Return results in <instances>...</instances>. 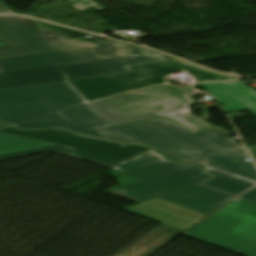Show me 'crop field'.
Segmentation results:
<instances>
[{"label":"crop field","instance_id":"obj_1","mask_svg":"<svg viewBox=\"0 0 256 256\" xmlns=\"http://www.w3.org/2000/svg\"><path fill=\"white\" fill-rule=\"evenodd\" d=\"M111 169L140 181L108 191L139 203L159 198L207 215L235 197L201 185L213 177L204 168L166 160L153 150Z\"/></svg>","mask_w":256,"mask_h":256},{"label":"crop field","instance_id":"obj_2","mask_svg":"<svg viewBox=\"0 0 256 256\" xmlns=\"http://www.w3.org/2000/svg\"><path fill=\"white\" fill-rule=\"evenodd\" d=\"M110 139L153 146L169 159L195 162L206 167L210 154L249 157L219 126L194 134L167 118L99 128Z\"/></svg>","mask_w":256,"mask_h":256},{"label":"crop field","instance_id":"obj_3","mask_svg":"<svg viewBox=\"0 0 256 256\" xmlns=\"http://www.w3.org/2000/svg\"><path fill=\"white\" fill-rule=\"evenodd\" d=\"M192 90L191 87L170 88L164 85L115 96L89 105L112 125L167 117L197 133L213 126L203 121L208 118L207 108H202L203 120L190 112L189 106L196 103L185 93Z\"/></svg>","mask_w":256,"mask_h":256},{"label":"crop field","instance_id":"obj_4","mask_svg":"<svg viewBox=\"0 0 256 256\" xmlns=\"http://www.w3.org/2000/svg\"><path fill=\"white\" fill-rule=\"evenodd\" d=\"M110 45L63 39L0 48V73L126 55L119 41Z\"/></svg>","mask_w":256,"mask_h":256},{"label":"crop field","instance_id":"obj_5","mask_svg":"<svg viewBox=\"0 0 256 256\" xmlns=\"http://www.w3.org/2000/svg\"><path fill=\"white\" fill-rule=\"evenodd\" d=\"M130 72L67 81L87 101L110 97L156 85L166 84L164 75L188 72L196 82L234 80L175 60L129 66Z\"/></svg>","mask_w":256,"mask_h":256},{"label":"crop field","instance_id":"obj_6","mask_svg":"<svg viewBox=\"0 0 256 256\" xmlns=\"http://www.w3.org/2000/svg\"><path fill=\"white\" fill-rule=\"evenodd\" d=\"M0 133L58 146L0 156V160L21 157L46 151H54L103 166L110 167L142 152L151 150L138 144L126 145L95 138L75 135L62 129L49 131H19L13 126L0 130Z\"/></svg>","mask_w":256,"mask_h":256},{"label":"crop field","instance_id":"obj_7","mask_svg":"<svg viewBox=\"0 0 256 256\" xmlns=\"http://www.w3.org/2000/svg\"><path fill=\"white\" fill-rule=\"evenodd\" d=\"M128 56L0 74V90L128 71L125 66L165 60L149 50L120 42Z\"/></svg>","mask_w":256,"mask_h":256},{"label":"crop field","instance_id":"obj_8","mask_svg":"<svg viewBox=\"0 0 256 256\" xmlns=\"http://www.w3.org/2000/svg\"><path fill=\"white\" fill-rule=\"evenodd\" d=\"M183 235L245 256H256V203L242 198L233 201Z\"/></svg>","mask_w":256,"mask_h":256},{"label":"crop field","instance_id":"obj_9","mask_svg":"<svg viewBox=\"0 0 256 256\" xmlns=\"http://www.w3.org/2000/svg\"><path fill=\"white\" fill-rule=\"evenodd\" d=\"M84 102L67 82L1 90L0 121L16 125Z\"/></svg>","mask_w":256,"mask_h":256},{"label":"crop field","instance_id":"obj_10","mask_svg":"<svg viewBox=\"0 0 256 256\" xmlns=\"http://www.w3.org/2000/svg\"><path fill=\"white\" fill-rule=\"evenodd\" d=\"M20 129L36 128L48 129L53 127H62L75 133L106 138L96 126H109L96 112L91 110L86 104L16 125Z\"/></svg>","mask_w":256,"mask_h":256},{"label":"crop field","instance_id":"obj_11","mask_svg":"<svg viewBox=\"0 0 256 256\" xmlns=\"http://www.w3.org/2000/svg\"><path fill=\"white\" fill-rule=\"evenodd\" d=\"M124 209L165 222L183 230L205 216L159 199Z\"/></svg>","mask_w":256,"mask_h":256},{"label":"crop field","instance_id":"obj_12","mask_svg":"<svg viewBox=\"0 0 256 256\" xmlns=\"http://www.w3.org/2000/svg\"><path fill=\"white\" fill-rule=\"evenodd\" d=\"M63 38L41 34L35 31L33 24L23 22L18 16H0V39L10 45Z\"/></svg>","mask_w":256,"mask_h":256},{"label":"crop field","instance_id":"obj_13","mask_svg":"<svg viewBox=\"0 0 256 256\" xmlns=\"http://www.w3.org/2000/svg\"><path fill=\"white\" fill-rule=\"evenodd\" d=\"M183 230L161 224L146 236L125 249L118 256H148L171 239L180 234Z\"/></svg>","mask_w":256,"mask_h":256},{"label":"crop field","instance_id":"obj_14","mask_svg":"<svg viewBox=\"0 0 256 256\" xmlns=\"http://www.w3.org/2000/svg\"><path fill=\"white\" fill-rule=\"evenodd\" d=\"M207 168L256 181V167L253 161L247 162L243 157L210 155Z\"/></svg>","mask_w":256,"mask_h":256},{"label":"crop field","instance_id":"obj_15","mask_svg":"<svg viewBox=\"0 0 256 256\" xmlns=\"http://www.w3.org/2000/svg\"><path fill=\"white\" fill-rule=\"evenodd\" d=\"M210 92L225 106L222 108L224 111L242 109L249 111L256 117V93L252 94L245 88L215 90Z\"/></svg>","mask_w":256,"mask_h":256},{"label":"crop field","instance_id":"obj_16","mask_svg":"<svg viewBox=\"0 0 256 256\" xmlns=\"http://www.w3.org/2000/svg\"><path fill=\"white\" fill-rule=\"evenodd\" d=\"M206 173L213 174L215 177L211 178L203 185L235 196L249 190L251 187L256 185V183L239 180L227 174H222L207 169Z\"/></svg>","mask_w":256,"mask_h":256},{"label":"crop field","instance_id":"obj_17","mask_svg":"<svg viewBox=\"0 0 256 256\" xmlns=\"http://www.w3.org/2000/svg\"><path fill=\"white\" fill-rule=\"evenodd\" d=\"M8 126L10 125L0 123V129L6 128ZM49 146L55 145L0 134V155H6Z\"/></svg>","mask_w":256,"mask_h":256},{"label":"crop field","instance_id":"obj_18","mask_svg":"<svg viewBox=\"0 0 256 256\" xmlns=\"http://www.w3.org/2000/svg\"><path fill=\"white\" fill-rule=\"evenodd\" d=\"M202 87L206 90H215V89H227V88H239V87H245L252 93H255L256 90L253 88H248L245 85H243L240 81L237 82H223V83H213V84H200L194 86V88Z\"/></svg>","mask_w":256,"mask_h":256},{"label":"crop field","instance_id":"obj_19","mask_svg":"<svg viewBox=\"0 0 256 256\" xmlns=\"http://www.w3.org/2000/svg\"><path fill=\"white\" fill-rule=\"evenodd\" d=\"M45 1H49V0H45ZM73 2H75L76 4L72 7L76 8L77 10L81 11L89 6H93L98 10H103L105 9L104 7L98 5L97 3H95L92 0H72Z\"/></svg>","mask_w":256,"mask_h":256},{"label":"crop field","instance_id":"obj_20","mask_svg":"<svg viewBox=\"0 0 256 256\" xmlns=\"http://www.w3.org/2000/svg\"><path fill=\"white\" fill-rule=\"evenodd\" d=\"M240 197L248 199L250 201L256 202V187L253 189L249 190L248 192L244 193Z\"/></svg>","mask_w":256,"mask_h":256},{"label":"crop field","instance_id":"obj_21","mask_svg":"<svg viewBox=\"0 0 256 256\" xmlns=\"http://www.w3.org/2000/svg\"><path fill=\"white\" fill-rule=\"evenodd\" d=\"M0 12H1V13H13V12H11L8 8H6V7L4 6L3 2H0ZM13 14H15V13H13Z\"/></svg>","mask_w":256,"mask_h":256},{"label":"crop field","instance_id":"obj_22","mask_svg":"<svg viewBox=\"0 0 256 256\" xmlns=\"http://www.w3.org/2000/svg\"><path fill=\"white\" fill-rule=\"evenodd\" d=\"M249 152H250L252 158L254 159V161L256 162V148L250 149Z\"/></svg>","mask_w":256,"mask_h":256},{"label":"crop field","instance_id":"obj_23","mask_svg":"<svg viewBox=\"0 0 256 256\" xmlns=\"http://www.w3.org/2000/svg\"><path fill=\"white\" fill-rule=\"evenodd\" d=\"M2 45H5V44L0 41V46H2Z\"/></svg>","mask_w":256,"mask_h":256}]
</instances>
